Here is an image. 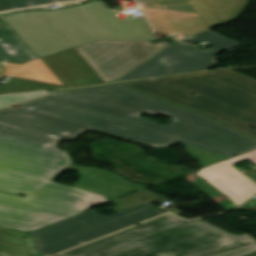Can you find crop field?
Wrapping results in <instances>:
<instances>
[{
  "label": "crop field",
  "mask_w": 256,
  "mask_h": 256,
  "mask_svg": "<svg viewBox=\"0 0 256 256\" xmlns=\"http://www.w3.org/2000/svg\"><path fill=\"white\" fill-rule=\"evenodd\" d=\"M70 0H0V11L51 4Z\"/></svg>",
  "instance_id": "13"
},
{
  "label": "crop field",
  "mask_w": 256,
  "mask_h": 256,
  "mask_svg": "<svg viewBox=\"0 0 256 256\" xmlns=\"http://www.w3.org/2000/svg\"><path fill=\"white\" fill-rule=\"evenodd\" d=\"M246 159L256 164V150L200 170L195 174L192 183L209 198L221 195L227 197L218 205L230 210L256 193V185L231 166ZM250 179L256 182V176ZM249 207H256V199L251 198L238 209Z\"/></svg>",
  "instance_id": "10"
},
{
  "label": "crop field",
  "mask_w": 256,
  "mask_h": 256,
  "mask_svg": "<svg viewBox=\"0 0 256 256\" xmlns=\"http://www.w3.org/2000/svg\"><path fill=\"white\" fill-rule=\"evenodd\" d=\"M169 45L149 41L94 40L74 47L104 83L115 82Z\"/></svg>",
  "instance_id": "8"
},
{
  "label": "crop field",
  "mask_w": 256,
  "mask_h": 256,
  "mask_svg": "<svg viewBox=\"0 0 256 256\" xmlns=\"http://www.w3.org/2000/svg\"><path fill=\"white\" fill-rule=\"evenodd\" d=\"M48 93L49 91L42 90V91H34V92H22V93L0 95V108L11 105V104H15L18 102H22L25 100H29L35 97H39L42 95H46Z\"/></svg>",
  "instance_id": "14"
},
{
  "label": "crop field",
  "mask_w": 256,
  "mask_h": 256,
  "mask_svg": "<svg viewBox=\"0 0 256 256\" xmlns=\"http://www.w3.org/2000/svg\"><path fill=\"white\" fill-rule=\"evenodd\" d=\"M153 29L183 39L237 20L242 0H135Z\"/></svg>",
  "instance_id": "6"
},
{
  "label": "crop field",
  "mask_w": 256,
  "mask_h": 256,
  "mask_svg": "<svg viewBox=\"0 0 256 256\" xmlns=\"http://www.w3.org/2000/svg\"><path fill=\"white\" fill-rule=\"evenodd\" d=\"M59 256H256V240L166 214Z\"/></svg>",
  "instance_id": "2"
},
{
  "label": "crop field",
  "mask_w": 256,
  "mask_h": 256,
  "mask_svg": "<svg viewBox=\"0 0 256 256\" xmlns=\"http://www.w3.org/2000/svg\"><path fill=\"white\" fill-rule=\"evenodd\" d=\"M5 27L0 28V62L23 64L37 57L1 18Z\"/></svg>",
  "instance_id": "11"
},
{
  "label": "crop field",
  "mask_w": 256,
  "mask_h": 256,
  "mask_svg": "<svg viewBox=\"0 0 256 256\" xmlns=\"http://www.w3.org/2000/svg\"><path fill=\"white\" fill-rule=\"evenodd\" d=\"M141 196L148 201L140 200ZM161 199L163 198L145 189L113 201L118 206L112 209L118 213L111 216L105 217L90 210L31 234L39 255L50 256L165 213L149 205ZM80 241L83 243L79 244Z\"/></svg>",
  "instance_id": "5"
},
{
  "label": "crop field",
  "mask_w": 256,
  "mask_h": 256,
  "mask_svg": "<svg viewBox=\"0 0 256 256\" xmlns=\"http://www.w3.org/2000/svg\"><path fill=\"white\" fill-rule=\"evenodd\" d=\"M102 1L59 11L19 13L3 19L37 57L94 39L154 40L144 17L119 20Z\"/></svg>",
  "instance_id": "3"
},
{
  "label": "crop field",
  "mask_w": 256,
  "mask_h": 256,
  "mask_svg": "<svg viewBox=\"0 0 256 256\" xmlns=\"http://www.w3.org/2000/svg\"><path fill=\"white\" fill-rule=\"evenodd\" d=\"M121 84L202 112L256 138V130L249 127L256 126V80L230 69Z\"/></svg>",
  "instance_id": "4"
},
{
  "label": "crop field",
  "mask_w": 256,
  "mask_h": 256,
  "mask_svg": "<svg viewBox=\"0 0 256 256\" xmlns=\"http://www.w3.org/2000/svg\"><path fill=\"white\" fill-rule=\"evenodd\" d=\"M0 76H18L71 87L103 83L73 48L23 65L0 63Z\"/></svg>",
  "instance_id": "9"
},
{
  "label": "crop field",
  "mask_w": 256,
  "mask_h": 256,
  "mask_svg": "<svg viewBox=\"0 0 256 256\" xmlns=\"http://www.w3.org/2000/svg\"><path fill=\"white\" fill-rule=\"evenodd\" d=\"M244 2H248V0H243Z\"/></svg>",
  "instance_id": "15"
},
{
  "label": "crop field",
  "mask_w": 256,
  "mask_h": 256,
  "mask_svg": "<svg viewBox=\"0 0 256 256\" xmlns=\"http://www.w3.org/2000/svg\"><path fill=\"white\" fill-rule=\"evenodd\" d=\"M172 117L168 125L141 114ZM91 130L158 148L180 142L199 167L256 148V141L199 113L119 84L57 92L0 110V226L29 232L148 186L111 171L75 164L57 143ZM75 183L54 180L65 170ZM106 197H110L109 200Z\"/></svg>",
  "instance_id": "1"
},
{
  "label": "crop field",
  "mask_w": 256,
  "mask_h": 256,
  "mask_svg": "<svg viewBox=\"0 0 256 256\" xmlns=\"http://www.w3.org/2000/svg\"><path fill=\"white\" fill-rule=\"evenodd\" d=\"M183 41L189 43H199L201 41H205L207 42L208 46L212 48L202 51L194 48V45L177 41L118 81L188 71L206 70L216 63L213 59L216 55L241 45L236 41L221 36L210 30L184 39Z\"/></svg>",
  "instance_id": "7"
},
{
  "label": "crop field",
  "mask_w": 256,
  "mask_h": 256,
  "mask_svg": "<svg viewBox=\"0 0 256 256\" xmlns=\"http://www.w3.org/2000/svg\"><path fill=\"white\" fill-rule=\"evenodd\" d=\"M0 256H37L28 235L0 229Z\"/></svg>",
  "instance_id": "12"
}]
</instances>
